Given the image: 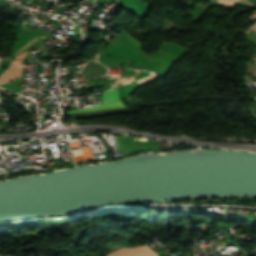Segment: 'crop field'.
<instances>
[{
    "label": "crop field",
    "instance_id": "crop-field-2",
    "mask_svg": "<svg viewBox=\"0 0 256 256\" xmlns=\"http://www.w3.org/2000/svg\"><path fill=\"white\" fill-rule=\"evenodd\" d=\"M21 73L22 70L10 65L0 76V85L16 79Z\"/></svg>",
    "mask_w": 256,
    "mask_h": 256
},
{
    "label": "crop field",
    "instance_id": "crop-field-7",
    "mask_svg": "<svg viewBox=\"0 0 256 256\" xmlns=\"http://www.w3.org/2000/svg\"><path fill=\"white\" fill-rule=\"evenodd\" d=\"M2 57L0 56V59H1Z\"/></svg>",
    "mask_w": 256,
    "mask_h": 256
},
{
    "label": "crop field",
    "instance_id": "crop-field-1",
    "mask_svg": "<svg viewBox=\"0 0 256 256\" xmlns=\"http://www.w3.org/2000/svg\"><path fill=\"white\" fill-rule=\"evenodd\" d=\"M133 248L123 247L119 250H116L107 256H131ZM132 256H157L155 252H153L150 248H148L146 245L138 246L135 248Z\"/></svg>",
    "mask_w": 256,
    "mask_h": 256
},
{
    "label": "crop field",
    "instance_id": "crop-field-5",
    "mask_svg": "<svg viewBox=\"0 0 256 256\" xmlns=\"http://www.w3.org/2000/svg\"><path fill=\"white\" fill-rule=\"evenodd\" d=\"M240 0H218L219 5H225L233 7L235 4H237Z\"/></svg>",
    "mask_w": 256,
    "mask_h": 256
},
{
    "label": "crop field",
    "instance_id": "crop-field-3",
    "mask_svg": "<svg viewBox=\"0 0 256 256\" xmlns=\"http://www.w3.org/2000/svg\"><path fill=\"white\" fill-rule=\"evenodd\" d=\"M122 107H124V106L122 105V103L120 101H118V102H114V103L102 104L99 106L85 108V109H81V110L70 111L69 114L106 110V109H114V108H122Z\"/></svg>",
    "mask_w": 256,
    "mask_h": 256
},
{
    "label": "crop field",
    "instance_id": "crop-field-4",
    "mask_svg": "<svg viewBox=\"0 0 256 256\" xmlns=\"http://www.w3.org/2000/svg\"><path fill=\"white\" fill-rule=\"evenodd\" d=\"M102 99H103V102L119 99L118 93H117V87L106 89L103 92Z\"/></svg>",
    "mask_w": 256,
    "mask_h": 256
},
{
    "label": "crop field",
    "instance_id": "crop-field-8",
    "mask_svg": "<svg viewBox=\"0 0 256 256\" xmlns=\"http://www.w3.org/2000/svg\"><path fill=\"white\" fill-rule=\"evenodd\" d=\"M93 62H95V61H93ZM98 63V62H97Z\"/></svg>",
    "mask_w": 256,
    "mask_h": 256
},
{
    "label": "crop field",
    "instance_id": "crop-field-6",
    "mask_svg": "<svg viewBox=\"0 0 256 256\" xmlns=\"http://www.w3.org/2000/svg\"><path fill=\"white\" fill-rule=\"evenodd\" d=\"M249 29H251V30H253V31H255V32H256V23H255V24H253L251 27H249Z\"/></svg>",
    "mask_w": 256,
    "mask_h": 256
}]
</instances>
